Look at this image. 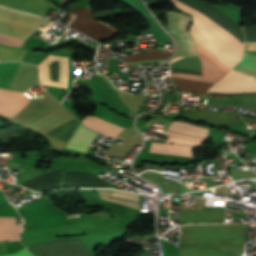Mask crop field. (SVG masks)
<instances>
[{"label":"crop field","instance_id":"4a817a6b","mask_svg":"<svg viewBox=\"0 0 256 256\" xmlns=\"http://www.w3.org/2000/svg\"><path fill=\"white\" fill-rule=\"evenodd\" d=\"M9 163H13V162H9Z\"/></svg>","mask_w":256,"mask_h":256},{"label":"crop field","instance_id":"cbeb9de0","mask_svg":"<svg viewBox=\"0 0 256 256\" xmlns=\"http://www.w3.org/2000/svg\"><path fill=\"white\" fill-rule=\"evenodd\" d=\"M163 134H165V135H171V136H176V137H181V138L192 139V140H197V141H202V142H206L205 139H200V138H194V137L184 136V135L175 134V133H170V132H166V131H164Z\"/></svg>","mask_w":256,"mask_h":256},{"label":"crop field","instance_id":"bc2a9ffb","mask_svg":"<svg viewBox=\"0 0 256 256\" xmlns=\"http://www.w3.org/2000/svg\"><path fill=\"white\" fill-rule=\"evenodd\" d=\"M42 84V83H41Z\"/></svg>","mask_w":256,"mask_h":256},{"label":"crop field","instance_id":"5142ce71","mask_svg":"<svg viewBox=\"0 0 256 256\" xmlns=\"http://www.w3.org/2000/svg\"><path fill=\"white\" fill-rule=\"evenodd\" d=\"M29 252V251H28ZM27 252L26 248L17 252V253H14V254H10V255H6V256H32L30 255L29 253Z\"/></svg>","mask_w":256,"mask_h":256},{"label":"crop field","instance_id":"d9b57169","mask_svg":"<svg viewBox=\"0 0 256 256\" xmlns=\"http://www.w3.org/2000/svg\"><path fill=\"white\" fill-rule=\"evenodd\" d=\"M246 50L256 51V42H247Z\"/></svg>","mask_w":256,"mask_h":256},{"label":"crop field","instance_id":"8a807250","mask_svg":"<svg viewBox=\"0 0 256 256\" xmlns=\"http://www.w3.org/2000/svg\"><path fill=\"white\" fill-rule=\"evenodd\" d=\"M173 2L178 4L182 8L186 9L190 13L203 19L204 21H206L207 23H209L210 25H212L213 27L221 31L223 34L228 36L234 42L244 47V43L242 41L234 37L233 34L223 29L213 21L209 20L199 12L193 10L192 8L186 6L185 4L181 3L178 0H173ZM198 17H197L198 21L211 37H209L205 33V31L199 25L195 17H193V21L189 30L190 34L192 35V37L196 42H198L201 46H203L206 50H208L217 59H219L222 63H224L227 67L231 69L233 65L241 59L243 54V48L237 45L236 43H234L228 37L220 33L218 30H216L215 28H213L203 20L199 19Z\"/></svg>","mask_w":256,"mask_h":256},{"label":"crop field","instance_id":"5a996713","mask_svg":"<svg viewBox=\"0 0 256 256\" xmlns=\"http://www.w3.org/2000/svg\"><path fill=\"white\" fill-rule=\"evenodd\" d=\"M23 226H15V218H0V240H17Z\"/></svg>","mask_w":256,"mask_h":256},{"label":"crop field","instance_id":"ac0d7876","mask_svg":"<svg viewBox=\"0 0 256 256\" xmlns=\"http://www.w3.org/2000/svg\"><path fill=\"white\" fill-rule=\"evenodd\" d=\"M236 67L256 75V56L245 52L243 59L238 63ZM236 67L232 69L225 78H223L220 82L216 83L209 90V92H256V76L240 70Z\"/></svg>","mask_w":256,"mask_h":256},{"label":"crop field","instance_id":"e52e79f7","mask_svg":"<svg viewBox=\"0 0 256 256\" xmlns=\"http://www.w3.org/2000/svg\"><path fill=\"white\" fill-rule=\"evenodd\" d=\"M82 122L84 125H86L88 128L92 130H95L104 135H109L115 138H116V135L119 132H121L122 129H124L122 127L106 122L94 116L93 117L85 116Z\"/></svg>","mask_w":256,"mask_h":256},{"label":"crop field","instance_id":"412701ff","mask_svg":"<svg viewBox=\"0 0 256 256\" xmlns=\"http://www.w3.org/2000/svg\"><path fill=\"white\" fill-rule=\"evenodd\" d=\"M167 14L169 17L168 26L170 32L175 37L176 41V51L174 56L199 57L195 42L189 32H187L191 17L172 12H167Z\"/></svg>","mask_w":256,"mask_h":256},{"label":"crop field","instance_id":"28ad6ade","mask_svg":"<svg viewBox=\"0 0 256 256\" xmlns=\"http://www.w3.org/2000/svg\"><path fill=\"white\" fill-rule=\"evenodd\" d=\"M0 42L1 43H5V44L16 45V46H20L21 47L23 42H24V40L0 34Z\"/></svg>","mask_w":256,"mask_h":256},{"label":"crop field","instance_id":"34b2d1b8","mask_svg":"<svg viewBox=\"0 0 256 256\" xmlns=\"http://www.w3.org/2000/svg\"><path fill=\"white\" fill-rule=\"evenodd\" d=\"M46 20L0 7V33L26 39Z\"/></svg>","mask_w":256,"mask_h":256},{"label":"crop field","instance_id":"d1516ede","mask_svg":"<svg viewBox=\"0 0 256 256\" xmlns=\"http://www.w3.org/2000/svg\"><path fill=\"white\" fill-rule=\"evenodd\" d=\"M247 41H256V25L244 29Z\"/></svg>","mask_w":256,"mask_h":256},{"label":"crop field","instance_id":"3316defc","mask_svg":"<svg viewBox=\"0 0 256 256\" xmlns=\"http://www.w3.org/2000/svg\"><path fill=\"white\" fill-rule=\"evenodd\" d=\"M19 65L20 63L18 62L0 63V87L8 89L11 79Z\"/></svg>","mask_w":256,"mask_h":256},{"label":"crop field","instance_id":"22f410ed","mask_svg":"<svg viewBox=\"0 0 256 256\" xmlns=\"http://www.w3.org/2000/svg\"><path fill=\"white\" fill-rule=\"evenodd\" d=\"M165 60L166 59H153V60L134 61V62H128V63L131 65H137V64H145V63H161Z\"/></svg>","mask_w":256,"mask_h":256},{"label":"crop field","instance_id":"d8731c3e","mask_svg":"<svg viewBox=\"0 0 256 256\" xmlns=\"http://www.w3.org/2000/svg\"><path fill=\"white\" fill-rule=\"evenodd\" d=\"M194 147L152 143L149 152L192 157Z\"/></svg>","mask_w":256,"mask_h":256},{"label":"crop field","instance_id":"dd49c442","mask_svg":"<svg viewBox=\"0 0 256 256\" xmlns=\"http://www.w3.org/2000/svg\"><path fill=\"white\" fill-rule=\"evenodd\" d=\"M100 199L112 201L141 210L142 196L124 191L95 190Z\"/></svg>","mask_w":256,"mask_h":256},{"label":"crop field","instance_id":"f4fd0767","mask_svg":"<svg viewBox=\"0 0 256 256\" xmlns=\"http://www.w3.org/2000/svg\"><path fill=\"white\" fill-rule=\"evenodd\" d=\"M30 101L21 92L0 88V113L11 119Z\"/></svg>","mask_w":256,"mask_h":256},{"label":"crop field","instance_id":"733c2abd","mask_svg":"<svg viewBox=\"0 0 256 256\" xmlns=\"http://www.w3.org/2000/svg\"><path fill=\"white\" fill-rule=\"evenodd\" d=\"M37 227L36 224L29 225V228Z\"/></svg>","mask_w":256,"mask_h":256}]
</instances>
